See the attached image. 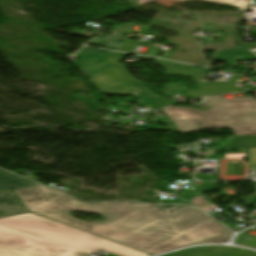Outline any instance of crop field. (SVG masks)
<instances>
[{
	"mask_svg": "<svg viewBox=\"0 0 256 256\" xmlns=\"http://www.w3.org/2000/svg\"><path fill=\"white\" fill-rule=\"evenodd\" d=\"M38 186L0 171V216L27 211L13 190Z\"/></svg>",
	"mask_w": 256,
	"mask_h": 256,
	"instance_id": "6",
	"label": "crop field"
},
{
	"mask_svg": "<svg viewBox=\"0 0 256 256\" xmlns=\"http://www.w3.org/2000/svg\"><path fill=\"white\" fill-rule=\"evenodd\" d=\"M248 50L245 47L221 49L216 59L224 60L228 62L229 65H237L236 64L237 60L256 59V56Z\"/></svg>",
	"mask_w": 256,
	"mask_h": 256,
	"instance_id": "8",
	"label": "crop field"
},
{
	"mask_svg": "<svg viewBox=\"0 0 256 256\" xmlns=\"http://www.w3.org/2000/svg\"><path fill=\"white\" fill-rule=\"evenodd\" d=\"M206 100L210 111L183 107H168L163 111L183 133L204 128H231L235 135H256V101L252 97ZM198 123H202L201 126Z\"/></svg>",
	"mask_w": 256,
	"mask_h": 256,
	"instance_id": "3",
	"label": "crop field"
},
{
	"mask_svg": "<svg viewBox=\"0 0 256 256\" xmlns=\"http://www.w3.org/2000/svg\"><path fill=\"white\" fill-rule=\"evenodd\" d=\"M152 1H155V0H142V1L137 2V3L140 4V5H143V4H147L149 2H152ZM177 1H184V0H177ZM209 1H215V2H219V3L227 4V5H230V6L237 7L239 9H241L242 11H244V9H245L249 0H209Z\"/></svg>",
	"mask_w": 256,
	"mask_h": 256,
	"instance_id": "9",
	"label": "crop field"
},
{
	"mask_svg": "<svg viewBox=\"0 0 256 256\" xmlns=\"http://www.w3.org/2000/svg\"><path fill=\"white\" fill-rule=\"evenodd\" d=\"M70 203L84 205V206H90V207H96V208H100L104 204V203H86V202H82V201H76L74 199Z\"/></svg>",
	"mask_w": 256,
	"mask_h": 256,
	"instance_id": "10",
	"label": "crop field"
},
{
	"mask_svg": "<svg viewBox=\"0 0 256 256\" xmlns=\"http://www.w3.org/2000/svg\"><path fill=\"white\" fill-rule=\"evenodd\" d=\"M91 81L95 86L103 93L109 95H126L132 94L138 98L137 103L145 106L161 101H156L152 98L159 100L167 101L158 97L157 95L150 92L145 86L135 80L129 75V73L122 67L121 63L109 68L108 70L98 74L97 76L91 78ZM140 88L145 94H143L139 89Z\"/></svg>",
	"mask_w": 256,
	"mask_h": 256,
	"instance_id": "4",
	"label": "crop field"
},
{
	"mask_svg": "<svg viewBox=\"0 0 256 256\" xmlns=\"http://www.w3.org/2000/svg\"><path fill=\"white\" fill-rule=\"evenodd\" d=\"M156 64L163 66L169 74L187 76L192 78L197 85L196 90H184L180 84L168 85L165 86V90L167 92L183 91L185 95L190 98H198L216 93L240 91L236 86L237 81L242 77L239 75H234L230 82H200V80L204 76L201 70H196L188 65L162 60L156 61Z\"/></svg>",
	"mask_w": 256,
	"mask_h": 256,
	"instance_id": "5",
	"label": "crop field"
},
{
	"mask_svg": "<svg viewBox=\"0 0 256 256\" xmlns=\"http://www.w3.org/2000/svg\"><path fill=\"white\" fill-rule=\"evenodd\" d=\"M106 256L148 254L27 213L0 219V256Z\"/></svg>",
	"mask_w": 256,
	"mask_h": 256,
	"instance_id": "2",
	"label": "crop field"
},
{
	"mask_svg": "<svg viewBox=\"0 0 256 256\" xmlns=\"http://www.w3.org/2000/svg\"><path fill=\"white\" fill-rule=\"evenodd\" d=\"M247 48H256V46H253V47H247Z\"/></svg>",
	"mask_w": 256,
	"mask_h": 256,
	"instance_id": "12",
	"label": "crop field"
},
{
	"mask_svg": "<svg viewBox=\"0 0 256 256\" xmlns=\"http://www.w3.org/2000/svg\"><path fill=\"white\" fill-rule=\"evenodd\" d=\"M28 210L74 225L153 255L197 245L225 243L233 233L201 211L186 207L163 215L153 205L106 202L100 209L68 204L73 198L42 186L16 190ZM48 211L50 214H47ZM105 216L89 224L73 219L68 212Z\"/></svg>",
	"mask_w": 256,
	"mask_h": 256,
	"instance_id": "1",
	"label": "crop field"
},
{
	"mask_svg": "<svg viewBox=\"0 0 256 256\" xmlns=\"http://www.w3.org/2000/svg\"><path fill=\"white\" fill-rule=\"evenodd\" d=\"M162 256H256V252L226 246H205Z\"/></svg>",
	"mask_w": 256,
	"mask_h": 256,
	"instance_id": "7",
	"label": "crop field"
},
{
	"mask_svg": "<svg viewBox=\"0 0 256 256\" xmlns=\"http://www.w3.org/2000/svg\"><path fill=\"white\" fill-rule=\"evenodd\" d=\"M240 245L256 248V238L246 241V242H243Z\"/></svg>",
	"mask_w": 256,
	"mask_h": 256,
	"instance_id": "11",
	"label": "crop field"
}]
</instances>
